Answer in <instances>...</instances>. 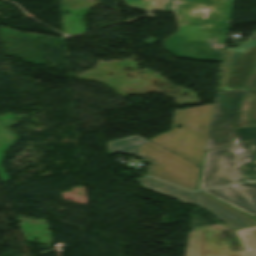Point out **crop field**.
Returning a JSON list of instances; mask_svg holds the SVG:
<instances>
[{
    "label": "crop field",
    "mask_w": 256,
    "mask_h": 256,
    "mask_svg": "<svg viewBox=\"0 0 256 256\" xmlns=\"http://www.w3.org/2000/svg\"><path fill=\"white\" fill-rule=\"evenodd\" d=\"M125 1L130 8L175 13L179 31L164 41L165 50L172 55L222 61L234 0Z\"/></svg>",
    "instance_id": "crop-field-1"
},
{
    "label": "crop field",
    "mask_w": 256,
    "mask_h": 256,
    "mask_svg": "<svg viewBox=\"0 0 256 256\" xmlns=\"http://www.w3.org/2000/svg\"><path fill=\"white\" fill-rule=\"evenodd\" d=\"M256 180V127L236 129L234 145L205 153L198 189Z\"/></svg>",
    "instance_id": "crop-field-2"
},
{
    "label": "crop field",
    "mask_w": 256,
    "mask_h": 256,
    "mask_svg": "<svg viewBox=\"0 0 256 256\" xmlns=\"http://www.w3.org/2000/svg\"><path fill=\"white\" fill-rule=\"evenodd\" d=\"M213 104L174 110L171 131L150 139L160 147L201 165ZM177 126H181L180 129Z\"/></svg>",
    "instance_id": "crop-field-3"
},
{
    "label": "crop field",
    "mask_w": 256,
    "mask_h": 256,
    "mask_svg": "<svg viewBox=\"0 0 256 256\" xmlns=\"http://www.w3.org/2000/svg\"><path fill=\"white\" fill-rule=\"evenodd\" d=\"M132 154L152 163L147 168V175L191 191L196 190L200 167L149 141Z\"/></svg>",
    "instance_id": "crop-field-4"
},
{
    "label": "crop field",
    "mask_w": 256,
    "mask_h": 256,
    "mask_svg": "<svg viewBox=\"0 0 256 256\" xmlns=\"http://www.w3.org/2000/svg\"><path fill=\"white\" fill-rule=\"evenodd\" d=\"M142 187L162 194L185 204H196L214 214L233 230L256 225L249 216L201 193L189 192L176 186L164 183L151 177H142L135 180Z\"/></svg>",
    "instance_id": "crop-field-5"
},
{
    "label": "crop field",
    "mask_w": 256,
    "mask_h": 256,
    "mask_svg": "<svg viewBox=\"0 0 256 256\" xmlns=\"http://www.w3.org/2000/svg\"><path fill=\"white\" fill-rule=\"evenodd\" d=\"M228 226L192 229L185 256H256V226L235 230L244 251H230L229 241H219L220 230Z\"/></svg>",
    "instance_id": "crop-field-6"
},
{
    "label": "crop field",
    "mask_w": 256,
    "mask_h": 256,
    "mask_svg": "<svg viewBox=\"0 0 256 256\" xmlns=\"http://www.w3.org/2000/svg\"><path fill=\"white\" fill-rule=\"evenodd\" d=\"M256 65V40L226 49L217 91L245 89Z\"/></svg>",
    "instance_id": "crop-field-7"
},
{
    "label": "crop field",
    "mask_w": 256,
    "mask_h": 256,
    "mask_svg": "<svg viewBox=\"0 0 256 256\" xmlns=\"http://www.w3.org/2000/svg\"><path fill=\"white\" fill-rule=\"evenodd\" d=\"M244 91L216 93L205 149L231 144L237 108Z\"/></svg>",
    "instance_id": "crop-field-8"
},
{
    "label": "crop field",
    "mask_w": 256,
    "mask_h": 256,
    "mask_svg": "<svg viewBox=\"0 0 256 256\" xmlns=\"http://www.w3.org/2000/svg\"><path fill=\"white\" fill-rule=\"evenodd\" d=\"M240 210L256 215V182L202 190Z\"/></svg>",
    "instance_id": "crop-field-9"
},
{
    "label": "crop field",
    "mask_w": 256,
    "mask_h": 256,
    "mask_svg": "<svg viewBox=\"0 0 256 256\" xmlns=\"http://www.w3.org/2000/svg\"><path fill=\"white\" fill-rule=\"evenodd\" d=\"M256 126V90H248L241 104L236 128Z\"/></svg>",
    "instance_id": "crop-field-10"
},
{
    "label": "crop field",
    "mask_w": 256,
    "mask_h": 256,
    "mask_svg": "<svg viewBox=\"0 0 256 256\" xmlns=\"http://www.w3.org/2000/svg\"><path fill=\"white\" fill-rule=\"evenodd\" d=\"M146 141L147 140L143 139L142 137L135 135L124 139L108 142L106 143L107 152L108 155L117 152L128 154L133 152L136 148H138Z\"/></svg>",
    "instance_id": "crop-field-11"
},
{
    "label": "crop field",
    "mask_w": 256,
    "mask_h": 256,
    "mask_svg": "<svg viewBox=\"0 0 256 256\" xmlns=\"http://www.w3.org/2000/svg\"><path fill=\"white\" fill-rule=\"evenodd\" d=\"M248 89H256V72Z\"/></svg>",
    "instance_id": "crop-field-12"
},
{
    "label": "crop field",
    "mask_w": 256,
    "mask_h": 256,
    "mask_svg": "<svg viewBox=\"0 0 256 256\" xmlns=\"http://www.w3.org/2000/svg\"><path fill=\"white\" fill-rule=\"evenodd\" d=\"M249 38H256V32H253Z\"/></svg>",
    "instance_id": "crop-field-13"
},
{
    "label": "crop field",
    "mask_w": 256,
    "mask_h": 256,
    "mask_svg": "<svg viewBox=\"0 0 256 256\" xmlns=\"http://www.w3.org/2000/svg\"><path fill=\"white\" fill-rule=\"evenodd\" d=\"M256 219V216H253Z\"/></svg>",
    "instance_id": "crop-field-14"
}]
</instances>
